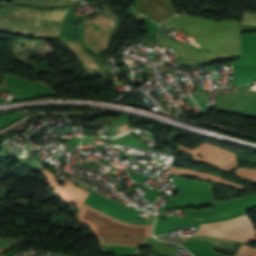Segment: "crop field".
Segmentation results:
<instances>
[{
	"label": "crop field",
	"mask_w": 256,
	"mask_h": 256,
	"mask_svg": "<svg viewBox=\"0 0 256 256\" xmlns=\"http://www.w3.org/2000/svg\"><path fill=\"white\" fill-rule=\"evenodd\" d=\"M91 226L95 235L100 236H150L152 225H135L121 222L105 213L83 204L74 217ZM101 243L140 246L145 239L100 237Z\"/></svg>",
	"instance_id": "8a807250"
},
{
	"label": "crop field",
	"mask_w": 256,
	"mask_h": 256,
	"mask_svg": "<svg viewBox=\"0 0 256 256\" xmlns=\"http://www.w3.org/2000/svg\"><path fill=\"white\" fill-rule=\"evenodd\" d=\"M185 33L196 37L194 41L201 44L204 48H206L214 53H217L221 56H224L226 58H233V57H238L241 55V37H240V35L232 36V37L216 38V37L202 36L203 34L199 35L194 32L187 31V30H185ZM159 43L169 45L182 60L224 59V57H221L212 52L201 54L195 50H192L188 47H185L181 44H178V43L171 41L167 38H164L160 35H159Z\"/></svg>",
	"instance_id": "ac0d7876"
},
{
	"label": "crop field",
	"mask_w": 256,
	"mask_h": 256,
	"mask_svg": "<svg viewBox=\"0 0 256 256\" xmlns=\"http://www.w3.org/2000/svg\"><path fill=\"white\" fill-rule=\"evenodd\" d=\"M162 24L182 27L211 36L240 34L237 20L212 21L203 17L182 16L180 18L174 17Z\"/></svg>",
	"instance_id": "34b2d1b8"
},
{
	"label": "crop field",
	"mask_w": 256,
	"mask_h": 256,
	"mask_svg": "<svg viewBox=\"0 0 256 256\" xmlns=\"http://www.w3.org/2000/svg\"><path fill=\"white\" fill-rule=\"evenodd\" d=\"M254 224L246 215L225 222L201 224L197 234L248 242Z\"/></svg>",
	"instance_id": "412701ff"
},
{
	"label": "crop field",
	"mask_w": 256,
	"mask_h": 256,
	"mask_svg": "<svg viewBox=\"0 0 256 256\" xmlns=\"http://www.w3.org/2000/svg\"><path fill=\"white\" fill-rule=\"evenodd\" d=\"M28 123V119L25 120V121H22L20 123H18L17 125L3 131L2 133H0V138L3 137V136H6L8 135L11 131H15V130H24L26 125Z\"/></svg>",
	"instance_id": "f4fd0767"
},
{
	"label": "crop field",
	"mask_w": 256,
	"mask_h": 256,
	"mask_svg": "<svg viewBox=\"0 0 256 256\" xmlns=\"http://www.w3.org/2000/svg\"><path fill=\"white\" fill-rule=\"evenodd\" d=\"M236 256H256V248L241 246Z\"/></svg>",
	"instance_id": "dd49c442"
},
{
	"label": "crop field",
	"mask_w": 256,
	"mask_h": 256,
	"mask_svg": "<svg viewBox=\"0 0 256 256\" xmlns=\"http://www.w3.org/2000/svg\"><path fill=\"white\" fill-rule=\"evenodd\" d=\"M242 24H256V15H245Z\"/></svg>",
	"instance_id": "e52e79f7"
}]
</instances>
